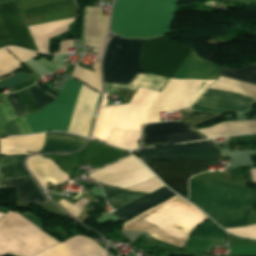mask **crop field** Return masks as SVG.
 I'll use <instances>...</instances> for the list:
<instances>
[{
	"mask_svg": "<svg viewBox=\"0 0 256 256\" xmlns=\"http://www.w3.org/2000/svg\"><path fill=\"white\" fill-rule=\"evenodd\" d=\"M30 91H31L39 109H42L44 106H46L52 100H54L34 87L30 88ZM18 95H19L28 114L39 111L28 89L24 90L22 92H18ZM5 96H6L16 117L26 115V112H25L16 93L5 94Z\"/></svg>",
	"mask_w": 256,
	"mask_h": 256,
	"instance_id": "crop-field-18",
	"label": "crop field"
},
{
	"mask_svg": "<svg viewBox=\"0 0 256 256\" xmlns=\"http://www.w3.org/2000/svg\"><path fill=\"white\" fill-rule=\"evenodd\" d=\"M28 155L3 156L0 155V178L27 176L23 161ZM1 188V183H0Z\"/></svg>",
	"mask_w": 256,
	"mask_h": 256,
	"instance_id": "crop-field-29",
	"label": "crop field"
},
{
	"mask_svg": "<svg viewBox=\"0 0 256 256\" xmlns=\"http://www.w3.org/2000/svg\"><path fill=\"white\" fill-rule=\"evenodd\" d=\"M6 1H11V0H0V3H1V2H6Z\"/></svg>",
	"mask_w": 256,
	"mask_h": 256,
	"instance_id": "crop-field-47",
	"label": "crop field"
},
{
	"mask_svg": "<svg viewBox=\"0 0 256 256\" xmlns=\"http://www.w3.org/2000/svg\"><path fill=\"white\" fill-rule=\"evenodd\" d=\"M162 186L163 185L161 184V182L155 177L143 184H140L133 188H129L127 190H135V191L151 193Z\"/></svg>",
	"mask_w": 256,
	"mask_h": 256,
	"instance_id": "crop-field-35",
	"label": "crop field"
},
{
	"mask_svg": "<svg viewBox=\"0 0 256 256\" xmlns=\"http://www.w3.org/2000/svg\"><path fill=\"white\" fill-rule=\"evenodd\" d=\"M2 188L16 187L18 202H45L31 184L28 177L1 180Z\"/></svg>",
	"mask_w": 256,
	"mask_h": 256,
	"instance_id": "crop-field-27",
	"label": "crop field"
},
{
	"mask_svg": "<svg viewBox=\"0 0 256 256\" xmlns=\"http://www.w3.org/2000/svg\"><path fill=\"white\" fill-rule=\"evenodd\" d=\"M35 256H107V254L106 251L95 242L85 237L74 236Z\"/></svg>",
	"mask_w": 256,
	"mask_h": 256,
	"instance_id": "crop-field-17",
	"label": "crop field"
},
{
	"mask_svg": "<svg viewBox=\"0 0 256 256\" xmlns=\"http://www.w3.org/2000/svg\"><path fill=\"white\" fill-rule=\"evenodd\" d=\"M220 76L256 84V66H244L240 69L222 68Z\"/></svg>",
	"mask_w": 256,
	"mask_h": 256,
	"instance_id": "crop-field-33",
	"label": "crop field"
},
{
	"mask_svg": "<svg viewBox=\"0 0 256 256\" xmlns=\"http://www.w3.org/2000/svg\"><path fill=\"white\" fill-rule=\"evenodd\" d=\"M81 83L69 77L58 99L26 118L33 133L67 131ZM98 93L82 85L67 132L85 136L91 121Z\"/></svg>",
	"mask_w": 256,
	"mask_h": 256,
	"instance_id": "crop-field-2",
	"label": "crop field"
},
{
	"mask_svg": "<svg viewBox=\"0 0 256 256\" xmlns=\"http://www.w3.org/2000/svg\"><path fill=\"white\" fill-rule=\"evenodd\" d=\"M92 68L94 70V73L76 66L72 74V77L79 79L80 81L90 86L91 88L101 92L99 64H93Z\"/></svg>",
	"mask_w": 256,
	"mask_h": 256,
	"instance_id": "crop-field-32",
	"label": "crop field"
},
{
	"mask_svg": "<svg viewBox=\"0 0 256 256\" xmlns=\"http://www.w3.org/2000/svg\"><path fill=\"white\" fill-rule=\"evenodd\" d=\"M39 63H41L46 69H48L50 72L51 71H53V70H55V69H57V68H61L60 66L61 65H58V64H55V63H53V62H50V61H47V60H45V59H43V58H41V59H39V60H37ZM49 63L51 64V65H49Z\"/></svg>",
	"mask_w": 256,
	"mask_h": 256,
	"instance_id": "crop-field-42",
	"label": "crop field"
},
{
	"mask_svg": "<svg viewBox=\"0 0 256 256\" xmlns=\"http://www.w3.org/2000/svg\"><path fill=\"white\" fill-rule=\"evenodd\" d=\"M35 85L39 86L40 88H42L43 90L47 91L48 93H50L51 95L55 96L58 94L55 91H53L52 89L48 88L47 86H45L44 84H42L41 82H37Z\"/></svg>",
	"mask_w": 256,
	"mask_h": 256,
	"instance_id": "crop-field-45",
	"label": "crop field"
},
{
	"mask_svg": "<svg viewBox=\"0 0 256 256\" xmlns=\"http://www.w3.org/2000/svg\"><path fill=\"white\" fill-rule=\"evenodd\" d=\"M228 245H255L256 241L245 240L228 234Z\"/></svg>",
	"mask_w": 256,
	"mask_h": 256,
	"instance_id": "crop-field-41",
	"label": "crop field"
},
{
	"mask_svg": "<svg viewBox=\"0 0 256 256\" xmlns=\"http://www.w3.org/2000/svg\"><path fill=\"white\" fill-rule=\"evenodd\" d=\"M86 202L87 200L81 198L78 200L75 207L63 200L59 201L58 203H60L66 210H68L73 216L76 217Z\"/></svg>",
	"mask_w": 256,
	"mask_h": 256,
	"instance_id": "crop-field-40",
	"label": "crop field"
},
{
	"mask_svg": "<svg viewBox=\"0 0 256 256\" xmlns=\"http://www.w3.org/2000/svg\"><path fill=\"white\" fill-rule=\"evenodd\" d=\"M7 49L14 54L22 63L35 57L38 53L18 49L15 47H7Z\"/></svg>",
	"mask_w": 256,
	"mask_h": 256,
	"instance_id": "crop-field-38",
	"label": "crop field"
},
{
	"mask_svg": "<svg viewBox=\"0 0 256 256\" xmlns=\"http://www.w3.org/2000/svg\"><path fill=\"white\" fill-rule=\"evenodd\" d=\"M205 137L186 122L147 124L143 128L142 147L187 142Z\"/></svg>",
	"mask_w": 256,
	"mask_h": 256,
	"instance_id": "crop-field-15",
	"label": "crop field"
},
{
	"mask_svg": "<svg viewBox=\"0 0 256 256\" xmlns=\"http://www.w3.org/2000/svg\"><path fill=\"white\" fill-rule=\"evenodd\" d=\"M173 193L168 188L164 187L152 194H146L141 198L135 200L134 202L130 203L129 205L113 212L116 214L122 221L131 218L135 214L145 210L146 208L161 202L168 197L172 196Z\"/></svg>",
	"mask_w": 256,
	"mask_h": 256,
	"instance_id": "crop-field-23",
	"label": "crop field"
},
{
	"mask_svg": "<svg viewBox=\"0 0 256 256\" xmlns=\"http://www.w3.org/2000/svg\"><path fill=\"white\" fill-rule=\"evenodd\" d=\"M180 0H117L110 31L125 38H152L169 33L174 5Z\"/></svg>",
	"mask_w": 256,
	"mask_h": 256,
	"instance_id": "crop-field-5",
	"label": "crop field"
},
{
	"mask_svg": "<svg viewBox=\"0 0 256 256\" xmlns=\"http://www.w3.org/2000/svg\"><path fill=\"white\" fill-rule=\"evenodd\" d=\"M226 230L232 234L240 235L246 238L256 239V225L251 227L232 228Z\"/></svg>",
	"mask_w": 256,
	"mask_h": 256,
	"instance_id": "crop-field-36",
	"label": "crop field"
},
{
	"mask_svg": "<svg viewBox=\"0 0 256 256\" xmlns=\"http://www.w3.org/2000/svg\"><path fill=\"white\" fill-rule=\"evenodd\" d=\"M101 12V8L89 7L84 44L103 48L109 16Z\"/></svg>",
	"mask_w": 256,
	"mask_h": 256,
	"instance_id": "crop-field-21",
	"label": "crop field"
},
{
	"mask_svg": "<svg viewBox=\"0 0 256 256\" xmlns=\"http://www.w3.org/2000/svg\"><path fill=\"white\" fill-rule=\"evenodd\" d=\"M44 141V134L25 137H10L0 139L1 154H28L24 151H39Z\"/></svg>",
	"mask_w": 256,
	"mask_h": 256,
	"instance_id": "crop-field-22",
	"label": "crop field"
},
{
	"mask_svg": "<svg viewBox=\"0 0 256 256\" xmlns=\"http://www.w3.org/2000/svg\"><path fill=\"white\" fill-rule=\"evenodd\" d=\"M56 243V240L15 212L9 211L0 220V256L5 253L33 256Z\"/></svg>",
	"mask_w": 256,
	"mask_h": 256,
	"instance_id": "crop-field-8",
	"label": "crop field"
},
{
	"mask_svg": "<svg viewBox=\"0 0 256 256\" xmlns=\"http://www.w3.org/2000/svg\"><path fill=\"white\" fill-rule=\"evenodd\" d=\"M209 88L236 92L256 99V85L237 80L219 77Z\"/></svg>",
	"mask_w": 256,
	"mask_h": 256,
	"instance_id": "crop-field-30",
	"label": "crop field"
},
{
	"mask_svg": "<svg viewBox=\"0 0 256 256\" xmlns=\"http://www.w3.org/2000/svg\"><path fill=\"white\" fill-rule=\"evenodd\" d=\"M0 97H1V99L3 101V103H4V104H1L0 107H1V109H2V111L4 113V115H5L6 119L9 120V119L15 118L13 113H12V111H11V109H10V107H9V105H8V103H7V101H6V99H5V97H4V95L1 94ZM1 121H5V118H4V116H3V114H2V112L0 110V122ZM2 135H5V133H4V131H3L2 127H1V125H0V136H2Z\"/></svg>",
	"mask_w": 256,
	"mask_h": 256,
	"instance_id": "crop-field-37",
	"label": "crop field"
},
{
	"mask_svg": "<svg viewBox=\"0 0 256 256\" xmlns=\"http://www.w3.org/2000/svg\"><path fill=\"white\" fill-rule=\"evenodd\" d=\"M87 139L65 133H46L41 151L72 152L84 146Z\"/></svg>",
	"mask_w": 256,
	"mask_h": 256,
	"instance_id": "crop-field-24",
	"label": "crop field"
},
{
	"mask_svg": "<svg viewBox=\"0 0 256 256\" xmlns=\"http://www.w3.org/2000/svg\"><path fill=\"white\" fill-rule=\"evenodd\" d=\"M143 41L124 39L117 35L110 39L102 63L104 83L129 82L138 72ZM192 49L166 37L145 40L141 49L139 71L172 78Z\"/></svg>",
	"mask_w": 256,
	"mask_h": 256,
	"instance_id": "crop-field-1",
	"label": "crop field"
},
{
	"mask_svg": "<svg viewBox=\"0 0 256 256\" xmlns=\"http://www.w3.org/2000/svg\"><path fill=\"white\" fill-rule=\"evenodd\" d=\"M7 45L37 51L14 2L0 5V48Z\"/></svg>",
	"mask_w": 256,
	"mask_h": 256,
	"instance_id": "crop-field-16",
	"label": "crop field"
},
{
	"mask_svg": "<svg viewBox=\"0 0 256 256\" xmlns=\"http://www.w3.org/2000/svg\"><path fill=\"white\" fill-rule=\"evenodd\" d=\"M73 19L28 27L39 51L47 53V38L66 32V27H68Z\"/></svg>",
	"mask_w": 256,
	"mask_h": 256,
	"instance_id": "crop-field-25",
	"label": "crop field"
},
{
	"mask_svg": "<svg viewBox=\"0 0 256 256\" xmlns=\"http://www.w3.org/2000/svg\"><path fill=\"white\" fill-rule=\"evenodd\" d=\"M139 134L112 130L106 143L124 149H135L138 145Z\"/></svg>",
	"mask_w": 256,
	"mask_h": 256,
	"instance_id": "crop-field-31",
	"label": "crop field"
},
{
	"mask_svg": "<svg viewBox=\"0 0 256 256\" xmlns=\"http://www.w3.org/2000/svg\"><path fill=\"white\" fill-rule=\"evenodd\" d=\"M27 167L32 172L37 181L45 190L46 181L58 184L66 181L68 177L60 171L51 161L35 155L29 157L26 162Z\"/></svg>",
	"mask_w": 256,
	"mask_h": 256,
	"instance_id": "crop-field-19",
	"label": "crop field"
},
{
	"mask_svg": "<svg viewBox=\"0 0 256 256\" xmlns=\"http://www.w3.org/2000/svg\"><path fill=\"white\" fill-rule=\"evenodd\" d=\"M17 122H18L23 134L32 133L24 117L17 119Z\"/></svg>",
	"mask_w": 256,
	"mask_h": 256,
	"instance_id": "crop-field-43",
	"label": "crop field"
},
{
	"mask_svg": "<svg viewBox=\"0 0 256 256\" xmlns=\"http://www.w3.org/2000/svg\"><path fill=\"white\" fill-rule=\"evenodd\" d=\"M125 155H128V152L90 140L85 148L77 153L45 156L54 160L63 170L68 172L84 162L95 169Z\"/></svg>",
	"mask_w": 256,
	"mask_h": 256,
	"instance_id": "crop-field-13",
	"label": "crop field"
},
{
	"mask_svg": "<svg viewBox=\"0 0 256 256\" xmlns=\"http://www.w3.org/2000/svg\"><path fill=\"white\" fill-rule=\"evenodd\" d=\"M28 26L76 17L73 0L16 1Z\"/></svg>",
	"mask_w": 256,
	"mask_h": 256,
	"instance_id": "crop-field-12",
	"label": "crop field"
},
{
	"mask_svg": "<svg viewBox=\"0 0 256 256\" xmlns=\"http://www.w3.org/2000/svg\"><path fill=\"white\" fill-rule=\"evenodd\" d=\"M158 94L139 88L128 105L100 109L91 137L105 142L111 129L140 132L141 120Z\"/></svg>",
	"mask_w": 256,
	"mask_h": 256,
	"instance_id": "crop-field-6",
	"label": "crop field"
},
{
	"mask_svg": "<svg viewBox=\"0 0 256 256\" xmlns=\"http://www.w3.org/2000/svg\"><path fill=\"white\" fill-rule=\"evenodd\" d=\"M3 216H4V214H0V218L3 217Z\"/></svg>",
	"mask_w": 256,
	"mask_h": 256,
	"instance_id": "crop-field-48",
	"label": "crop field"
},
{
	"mask_svg": "<svg viewBox=\"0 0 256 256\" xmlns=\"http://www.w3.org/2000/svg\"><path fill=\"white\" fill-rule=\"evenodd\" d=\"M4 256H7V255H4Z\"/></svg>",
	"mask_w": 256,
	"mask_h": 256,
	"instance_id": "crop-field-50",
	"label": "crop field"
},
{
	"mask_svg": "<svg viewBox=\"0 0 256 256\" xmlns=\"http://www.w3.org/2000/svg\"><path fill=\"white\" fill-rule=\"evenodd\" d=\"M253 182H256V168L250 169Z\"/></svg>",
	"mask_w": 256,
	"mask_h": 256,
	"instance_id": "crop-field-46",
	"label": "crop field"
},
{
	"mask_svg": "<svg viewBox=\"0 0 256 256\" xmlns=\"http://www.w3.org/2000/svg\"><path fill=\"white\" fill-rule=\"evenodd\" d=\"M107 202L115 210L129 204L135 199L144 195V193L130 192L116 187L101 185Z\"/></svg>",
	"mask_w": 256,
	"mask_h": 256,
	"instance_id": "crop-field-28",
	"label": "crop field"
},
{
	"mask_svg": "<svg viewBox=\"0 0 256 256\" xmlns=\"http://www.w3.org/2000/svg\"><path fill=\"white\" fill-rule=\"evenodd\" d=\"M252 102L253 99L239 94L206 90L191 106V111H204L215 114L226 110L247 111ZM198 131L203 132L208 138L241 133H256V121L222 122L210 128L198 129Z\"/></svg>",
	"mask_w": 256,
	"mask_h": 256,
	"instance_id": "crop-field-7",
	"label": "crop field"
},
{
	"mask_svg": "<svg viewBox=\"0 0 256 256\" xmlns=\"http://www.w3.org/2000/svg\"><path fill=\"white\" fill-rule=\"evenodd\" d=\"M142 161L212 159L225 156L218 146L206 142L184 146H169L156 149L133 151Z\"/></svg>",
	"mask_w": 256,
	"mask_h": 256,
	"instance_id": "crop-field-14",
	"label": "crop field"
},
{
	"mask_svg": "<svg viewBox=\"0 0 256 256\" xmlns=\"http://www.w3.org/2000/svg\"><path fill=\"white\" fill-rule=\"evenodd\" d=\"M90 49V48H89ZM95 49L92 50V52L94 51Z\"/></svg>",
	"mask_w": 256,
	"mask_h": 256,
	"instance_id": "crop-field-49",
	"label": "crop field"
},
{
	"mask_svg": "<svg viewBox=\"0 0 256 256\" xmlns=\"http://www.w3.org/2000/svg\"><path fill=\"white\" fill-rule=\"evenodd\" d=\"M167 78L139 73L128 85L104 84V93L115 94L117 89L136 91L139 86L161 91Z\"/></svg>",
	"mask_w": 256,
	"mask_h": 256,
	"instance_id": "crop-field-26",
	"label": "crop field"
},
{
	"mask_svg": "<svg viewBox=\"0 0 256 256\" xmlns=\"http://www.w3.org/2000/svg\"><path fill=\"white\" fill-rule=\"evenodd\" d=\"M143 165L131 155L106 168L89 174L88 177L100 183L126 189L154 177Z\"/></svg>",
	"mask_w": 256,
	"mask_h": 256,
	"instance_id": "crop-field-10",
	"label": "crop field"
},
{
	"mask_svg": "<svg viewBox=\"0 0 256 256\" xmlns=\"http://www.w3.org/2000/svg\"><path fill=\"white\" fill-rule=\"evenodd\" d=\"M210 160L144 162L170 189L188 198L187 178L207 170Z\"/></svg>",
	"mask_w": 256,
	"mask_h": 256,
	"instance_id": "crop-field-11",
	"label": "crop field"
},
{
	"mask_svg": "<svg viewBox=\"0 0 256 256\" xmlns=\"http://www.w3.org/2000/svg\"><path fill=\"white\" fill-rule=\"evenodd\" d=\"M22 65L14 59L5 48L0 50V77L21 68Z\"/></svg>",
	"mask_w": 256,
	"mask_h": 256,
	"instance_id": "crop-field-34",
	"label": "crop field"
},
{
	"mask_svg": "<svg viewBox=\"0 0 256 256\" xmlns=\"http://www.w3.org/2000/svg\"><path fill=\"white\" fill-rule=\"evenodd\" d=\"M207 219L176 195L126 221L122 230H145L160 241L183 248L190 232Z\"/></svg>",
	"mask_w": 256,
	"mask_h": 256,
	"instance_id": "crop-field-3",
	"label": "crop field"
},
{
	"mask_svg": "<svg viewBox=\"0 0 256 256\" xmlns=\"http://www.w3.org/2000/svg\"><path fill=\"white\" fill-rule=\"evenodd\" d=\"M214 80L169 79L142 120V124L160 121L159 112L190 107L193 101Z\"/></svg>",
	"mask_w": 256,
	"mask_h": 256,
	"instance_id": "crop-field-9",
	"label": "crop field"
},
{
	"mask_svg": "<svg viewBox=\"0 0 256 256\" xmlns=\"http://www.w3.org/2000/svg\"><path fill=\"white\" fill-rule=\"evenodd\" d=\"M192 202L223 228L245 226L253 189L190 179Z\"/></svg>",
	"mask_w": 256,
	"mask_h": 256,
	"instance_id": "crop-field-4",
	"label": "crop field"
},
{
	"mask_svg": "<svg viewBox=\"0 0 256 256\" xmlns=\"http://www.w3.org/2000/svg\"><path fill=\"white\" fill-rule=\"evenodd\" d=\"M67 48H73L72 39L60 43L59 53L67 52Z\"/></svg>",
	"mask_w": 256,
	"mask_h": 256,
	"instance_id": "crop-field-44",
	"label": "crop field"
},
{
	"mask_svg": "<svg viewBox=\"0 0 256 256\" xmlns=\"http://www.w3.org/2000/svg\"><path fill=\"white\" fill-rule=\"evenodd\" d=\"M194 236L203 237H215L224 239V231L215 225L211 220L204 222L197 230L193 233ZM191 236L189 239L186 250L188 251H208L214 244L223 243L222 239L215 238H202Z\"/></svg>",
	"mask_w": 256,
	"mask_h": 256,
	"instance_id": "crop-field-20",
	"label": "crop field"
},
{
	"mask_svg": "<svg viewBox=\"0 0 256 256\" xmlns=\"http://www.w3.org/2000/svg\"><path fill=\"white\" fill-rule=\"evenodd\" d=\"M1 125L6 133V135H18L22 134L15 119L1 122Z\"/></svg>",
	"mask_w": 256,
	"mask_h": 256,
	"instance_id": "crop-field-39",
	"label": "crop field"
}]
</instances>
